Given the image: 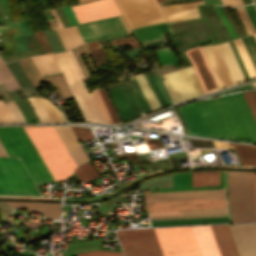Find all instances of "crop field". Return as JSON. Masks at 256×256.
I'll return each mask as SVG.
<instances>
[{"instance_id":"crop-field-36","label":"crop field","mask_w":256,"mask_h":256,"mask_svg":"<svg viewBox=\"0 0 256 256\" xmlns=\"http://www.w3.org/2000/svg\"><path fill=\"white\" fill-rule=\"evenodd\" d=\"M233 41H234V43H235V45L237 47V50H238V52H239V54H240V56L242 58V61H243L244 65H245V67H246V70H247L250 78L251 79L256 78V72H255V70L253 68V65H252V63H251V61L249 59V56H248V54H247V52H246V50L244 48V45H243L241 39L238 38V39H234Z\"/></svg>"},{"instance_id":"crop-field-44","label":"crop field","mask_w":256,"mask_h":256,"mask_svg":"<svg viewBox=\"0 0 256 256\" xmlns=\"http://www.w3.org/2000/svg\"><path fill=\"white\" fill-rule=\"evenodd\" d=\"M228 216L227 213L150 217L151 220Z\"/></svg>"},{"instance_id":"crop-field-21","label":"crop field","mask_w":256,"mask_h":256,"mask_svg":"<svg viewBox=\"0 0 256 256\" xmlns=\"http://www.w3.org/2000/svg\"><path fill=\"white\" fill-rule=\"evenodd\" d=\"M202 256H220L210 226L192 227Z\"/></svg>"},{"instance_id":"crop-field-19","label":"crop field","mask_w":256,"mask_h":256,"mask_svg":"<svg viewBox=\"0 0 256 256\" xmlns=\"http://www.w3.org/2000/svg\"><path fill=\"white\" fill-rule=\"evenodd\" d=\"M203 3L202 0L179 3L161 7L169 22L200 17L196 4Z\"/></svg>"},{"instance_id":"crop-field-9","label":"crop field","mask_w":256,"mask_h":256,"mask_svg":"<svg viewBox=\"0 0 256 256\" xmlns=\"http://www.w3.org/2000/svg\"><path fill=\"white\" fill-rule=\"evenodd\" d=\"M162 78L175 103L204 93L191 65L163 74Z\"/></svg>"},{"instance_id":"crop-field-4","label":"crop field","mask_w":256,"mask_h":256,"mask_svg":"<svg viewBox=\"0 0 256 256\" xmlns=\"http://www.w3.org/2000/svg\"><path fill=\"white\" fill-rule=\"evenodd\" d=\"M66 81L78 103V107L85 121L106 122L102 112L92 94H89L82 78L86 81L71 50L64 53L53 54Z\"/></svg>"},{"instance_id":"crop-field-18","label":"crop field","mask_w":256,"mask_h":256,"mask_svg":"<svg viewBox=\"0 0 256 256\" xmlns=\"http://www.w3.org/2000/svg\"><path fill=\"white\" fill-rule=\"evenodd\" d=\"M28 100L40 122H67L63 113L48 99L42 97H30Z\"/></svg>"},{"instance_id":"crop-field-70","label":"crop field","mask_w":256,"mask_h":256,"mask_svg":"<svg viewBox=\"0 0 256 256\" xmlns=\"http://www.w3.org/2000/svg\"><path fill=\"white\" fill-rule=\"evenodd\" d=\"M160 1H164V0H158V2H160Z\"/></svg>"},{"instance_id":"crop-field-32","label":"crop field","mask_w":256,"mask_h":256,"mask_svg":"<svg viewBox=\"0 0 256 256\" xmlns=\"http://www.w3.org/2000/svg\"><path fill=\"white\" fill-rule=\"evenodd\" d=\"M233 144L243 165H256V147Z\"/></svg>"},{"instance_id":"crop-field-27","label":"crop field","mask_w":256,"mask_h":256,"mask_svg":"<svg viewBox=\"0 0 256 256\" xmlns=\"http://www.w3.org/2000/svg\"><path fill=\"white\" fill-rule=\"evenodd\" d=\"M108 90L113 99V102L122 118L123 121L133 118V114L126 101V98L118 83L108 85Z\"/></svg>"},{"instance_id":"crop-field-23","label":"crop field","mask_w":256,"mask_h":256,"mask_svg":"<svg viewBox=\"0 0 256 256\" xmlns=\"http://www.w3.org/2000/svg\"><path fill=\"white\" fill-rule=\"evenodd\" d=\"M11 207L22 208L41 212L45 217L59 218L60 205L59 203H44V202H10Z\"/></svg>"},{"instance_id":"crop-field-54","label":"crop field","mask_w":256,"mask_h":256,"mask_svg":"<svg viewBox=\"0 0 256 256\" xmlns=\"http://www.w3.org/2000/svg\"><path fill=\"white\" fill-rule=\"evenodd\" d=\"M182 214L227 212L226 208L181 211Z\"/></svg>"},{"instance_id":"crop-field-62","label":"crop field","mask_w":256,"mask_h":256,"mask_svg":"<svg viewBox=\"0 0 256 256\" xmlns=\"http://www.w3.org/2000/svg\"><path fill=\"white\" fill-rule=\"evenodd\" d=\"M224 5H229V6H237V5H242L243 1L242 0H222Z\"/></svg>"},{"instance_id":"crop-field-71","label":"crop field","mask_w":256,"mask_h":256,"mask_svg":"<svg viewBox=\"0 0 256 256\" xmlns=\"http://www.w3.org/2000/svg\"><path fill=\"white\" fill-rule=\"evenodd\" d=\"M255 225V227H256V224H254Z\"/></svg>"},{"instance_id":"crop-field-16","label":"crop field","mask_w":256,"mask_h":256,"mask_svg":"<svg viewBox=\"0 0 256 256\" xmlns=\"http://www.w3.org/2000/svg\"><path fill=\"white\" fill-rule=\"evenodd\" d=\"M77 166L89 161L88 156L84 152L83 148L78 141L93 138L92 133L78 136L77 139L71 131L70 127H55Z\"/></svg>"},{"instance_id":"crop-field-5","label":"crop field","mask_w":256,"mask_h":256,"mask_svg":"<svg viewBox=\"0 0 256 256\" xmlns=\"http://www.w3.org/2000/svg\"><path fill=\"white\" fill-rule=\"evenodd\" d=\"M154 230L164 256H201L191 227Z\"/></svg>"},{"instance_id":"crop-field-26","label":"crop field","mask_w":256,"mask_h":256,"mask_svg":"<svg viewBox=\"0 0 256 256\" xmlns=\"http://www.w3.org/2000/svg\"><path fill=\"white\" fill-rule=\"evenodd\" d=\"M192 173L173 175V189H158L159 192L224 188V172H221V186L191 187Z\"/></svg>"},{"instance_id":"crop-field-30","label":"crop field","mask_w":256,"mask_h":256,"mask_svg":"<svg viewBox=\"0 0 256 256\" xmlns=\"http://www.w3.org/2000/svg\"><path fill=\"white\" fill-rule=\"evenodd\" d=\"M40 75L59 72L60 69L52 54L32 57Z\"/></svg>"},{"instance_id":"crop-field-14","label":"crop field","mask_w":256,"mask_h":256,"mask_svg":"<svg viewBox=\"0 0 256 256\" xmlns=\"http://www.w3.org/2000/svg\"><path fill=\"white\" fill-rule=\"evenodd\" d=\"M228 226L239 256H256V230L254 225Z\"/></svg>"},{"instance_id":"crop-field-42","label":"crop field","mask_w":256,"mask_h":256,"mask_svg":"<svg viewBox=\"0 0 256 256\" xmlns=\"http://www.w3.org/2000/svg\"><path fill=\"white\" fill-rule=\"evenodd\" d=\"M145 76H146L149 84L151 85V87H152V89H153V91H154V93H155V95H156V97H157L161 107L167 106L168 104H167V102H166V100H165V98H164V96L162 94V91H161V89H160V87H159V85H158V83H157L153 73L145 74Z\"/></svg>"},{"instance_id":"crop-field-11","label":"crop field","mask_w":256,"mask_h":256,"mask_svg":"<svg viewBox=\"0 0 256 256\" xmlns=\"http://www.w3.org/2000/svg\"><path fill=\"white\" fill-rule=\"evenodd\" d=\"M226 207L224 198L145 203L146 212Z\"/></svg>"},{"instance_id":"crop-field-64","label":"crop field","mask_w":256,"mask_h":256,"mask_svg":"<svg viewBox=\"0 0 256 256\" xmlns=\"http://www.w3.org/2000/svg\"><path fill=\"white\" fill-rule=\"evenodd\" d=\"M181 214L180 211L150 213V216Z\"/></svg>"},{"instance_id":"crop-field-28","label":"crop field","mask_w":256,"mask_h":256,"mask_svg":"<svg viewBox=\"0 0 256 256\" xmlns=\"http://www.w3.org/2000/svg\"><path fill=\"white\" fill-rule=\"evenodd\" d=\"M228 217L151 221L152 226H169L197 223L228 222Z\"/></svg>"},{"instance_id":"crop-field-43","label":"crop field","mask_w":256,"mask_h":256,"mask_svg":"<svg viewBox=\"0 0 256 256\" xmlns=\"http://www.w3.org/2000/svg\"><path fill=\"white\" fill-rule=\"evenodd\" d=\"M256 70V42L252 35L241 38Z\"/></svg>"},{"instance_id":"crop-field-39","label":"crop field","mask_w":256,"mask_h":256,"mask_svg":"<svg viewBox=\"0 0 256 256\" xmlns=\"http://www.w3.org/2000/svg\"><path fill=\"white\" fill-rule=\"evenodd\" d=\"M159 57L161 65H167L173 63L174 65H178V61L175 58V55L169 49V47L160 48L154 51Z\"/></svg>"},{"instance_id":"crop-field-35","label":"crop field","mask_w":256,"mask_h":256,"mask_svg":"<svg viewBox=\"0 0 256 256\" xmlns=\"http://www.w3.org/2000/svg\"><path fill=\"white\" fill-rule=\"evenodd\" d=\"M172 39L174 40L175 44L177 45L178 49L180 50L185 64H189L190 62L187 59V57L185 56L183 50L190 48L193 45H196V42L194 41V39L191 37L189 32H187L179 37H174Z\"/></svg>"},{"instance_id":"crop-field-49","label":"crop field","mask_w":256,"mask_h":256,"mask_svg":"<svg viewBox=\"0 0 256 256\" xmlns=\"http://www.w3.org/2000/svg\"><path fill=\"white\" fill-rule=\"evenodd\" d=\"M77 256H122V254L118 252L96 250L85 253H79L77 254Z\"/></svg>"},{"instance_id":"crop-field-3","label":"crop field","mask_w":256,"mask_h":256,"mask_svg":"<svg viewBox=\"0 0 256 256\" xmlns=\"http://www.w3.org/2000/svg\"><path fill=\"white\" fill-rule=\"evenodd\" d=\"M0 141L9 156L21 158L36 185L53 181L23 127H0Z\"/></svg>"},{"instance_id":"crop-field-38","label":"crop field","mask_w":256,"mask_h":256,"mask_svg":"<svg viewBox=\"0 0 256 256\" xmlns=\"http://www.w3.org/2000/svg\"><path fill=\"white\" fill-rule=\"evenodd\" d=\"M87 46L92 54V57H93V60L96 64V66L98 67V66L104 64L106 57H105V53L100 45V42L96 41V42L88 43Z\"/></svg>"},{"instance_id":"crop-field-37","label":"crop field","mask_w":256,"mask_h":256,"mask_svg":"<svg viewBox=\"0 0 256 256\" xmlns=\"http://www.w3.org/2000/svg\"><path fill=\"white\" fill-rule=\"evenodd\" d=\"M1 83H4L8 90L20 87L5 64L0 60V84Z\"/></svg>"},{"instance_id":"crop-field-57","label":"crop field","mask_w":256,"mask_h":256,"mask_svg":"<svg viewBox=\"0 0 256 256\" xmlns=\"http://www.w3.org/2000/svg\"><path fill=\"white\" fill-rule=\"evenodd\" d=\"M80 182L91 179V176L88 174L86 169L82 166L76 168L75 170Z\"/></svg>"},{"instance_id":"crop-field-53","label":"crop field","mask_w":256,"mask_h":256,"mask_svg":"<svg viewBox=\"0 0 256 256\" xmlns=\"http://www.w3.org/2000/svg\"><path fill=\"white\" fill-rule=\"evenodd\" d=\"M207 185H220V172H207Z\"/></svg>"},{"instance_id":"crop-field-59","label":"crop field","mask_w":256,"mask_h":256,"mask_svg":"<svg viewBox=\"0 0 256 256\" xmlns=\"http://www.w3.org/2000/svg\"><path fill=\"white\" fill-rule=\"evenodd\" d=\"M255 29H256V12H255V8L254 5H248V6H244Z\"/></svg>"},{"instance_id":"crop-field-24","label":"crop field","mask_w":256,"mask_h":256,"mask_svg":"<svg viewBox=\"0 0 256 256\" xmlns=\"http://www.w3.org/2000/svg\"><path fill=\"white\" fill-rule=\"evenodd\" d=\"M169 31L171 29L167 22L132 29L133 34L140 43L162 38L161 34Z\"/></svg>"},{"instance_id":"crop-field-29","label":"crop field","mask_w":256,"mask_h":256,"mask_svg":"<svg viewBox=\"0 0 256 256\" xmlns=\"http://www.w3.org/2000/svg\"><path fill=\"white\" fill-rule=\"evenodd\" d=\"M57 32H58L66 50H68L78 44L83 43V40H82L76 26L57 29Z\"/></svg>"},{"instance_id":"crop-field-63","label":"crop field","mask_w":256,"mask_h":256,"mask_svg":"<svg viewBox=\"0 0 256 256\" xmlns=\"http://www.w3.org/2000/svg\"><path fill=\"white\" fill-rule=\"evenodd\" d=\"M18 223H22V224L26 225L29 229H31L33 227H36V226H39V225L43 224L44 221H42V222L27 221V222H18Z\"/></svg>"},{"instance_id":"crop-field-66","label":"crop field","mask_w":256,"mask_h":256,"mask_svg":"<svg viewBox=\"0 0 256 256\" xmlns=\"http://www.w3.org/2000/svg\"><path fill=\"white\" fill-rule=\"evenodd\" d=\"M119 17H120V19H121L123 25L125 26V28H126L128 34H131L130 31H129V29H128V27H127V25H126V23H125V21H124V19H123V17H121V16H119Z\"/></svg>"},{"instance_id":"crop-field-67","label":"crop field","mask_w":256,"mask_h":256,"mask_svg":"<svg viewBox=\"0 0 256 256\" xmlns=\"http://www.w3.org/2000/svg\"><path fill=\"white\" fill-rule=\"evenodd\" d=\"M84 1H88V0H80V2H84Z\"/></svg>"},{"instance_id":"crop-field-7","label":"crop field","mask_w":256,"mask_h":256,"mask_svg":"<svg viewBox=\"0 0 256 256\" xmlns=\"http://www.w3.org/2000/svg\"><path fill=\"white\" fill-rule=\"evenodd\" d=\"M130 29L166 21L156 0H116Z\"/></svg>"},{"instance_id":"crop-field-60","label":"crop field","mask_w":256,"mask_h":256,"mask_svg":"<svg viewBox=\"0 0 256 256\" xmlns=\"http://www.w3.org/2000/svg\"><path fill=\"white\" fill-rule=\"evenodd\" d=\"M71 129L74 132L75 136L91 132L88 128L82 127H71Z\"/></svg>"},{"instance_id":"crop-field-34","label":"crop field","mask_w":256,"mask_h":256,"mask_svg":"<svg viewBox=\"0 0 256 256\" xmlns=\"http://www.w3.org/2000/svg\"><path fill=\"white\" fill-rule=\"evenodd\" d=\"M20 65V64H19ZM17 61L14 62H10V63H6V66L9 68V70L11 71V73L14 75V77L16 78V80L18 81V83L21 85L22 88H29L31 89L35 94H37V92L35 91V89L33 88V86L30 84V82L28 81V79L25 77V73L23 74L22 70H21V66L19 67ZM38 95V94H37Z\"/></svg>"},{"instance_id":"crop-field-15","label":"crop field","mask_w":256,"mask_h":256,"mask_svg":"<svg viewBox=\"0 0 256 256\" xmlns=\"http://www.w3.org/2000/svg\"><path fill=\"white\" fill-rule=\"evenodd\" d=\"M224 197V189L144 194L145 202Z\"/></svg>"},{"instance_id":"crop-field-52","label":"crop field","mask_w":256,"mask_h":256,"mask_svg":"<svg viewBox=\"0 0 256 256\" xmlns=\"http://www.w3.org/2000/svg\"><path fill=\"white\" fill-rule=\"evenodd\" d=\"M93 93H94V95H95V97H96V99H97V101H98V103L100 105V108H101V110H102V112L104 114V117H105L106 121L110 122V123H113L111 118H110V116H109V114H108V111H107V109H106V107H105V105H104V103L102 101V98H101L98 90L97 89L93 90Z\"/></svg>"},{"instance_id":"crop-field-69","label":"crop field","mask_w":256,"mask_h":256,"mask_svg":"<svg viewBox=\"0 0 256 256\" xmlns=\"http://www.w3.org/2000/svg\"><path fill=\"white\" fill-rule=\"evenodd\" d=\"M253 84H254V86L256 87V82H254Z\"/></svg>"},{"instance_id":"crop-field-56","label":"crop field","mask_w":256,"mask_h":256,"mask_svg":"<svg viewBox=\"0 0 256 256\" xmlns=\"http://www.w3.org/2000/svg\"><path fill=\"white\" fill-rule=\"evenodd\" d=\"M0 122H13L6 110L3 101H0Z\"/></svg>"},{"instance_id":"crop-field-17","label":"crop field","mask_w":256,"mask_h":256,"mask_svg":"<svg viewBox=\"0 0 256 256\" xmlns=\"http://www.w3.org/2000/svg\"><path fill=\"white\" fill-rule=\"evenodd\" d=\"M219 87L233 85V81L215 45L201 47Z\"/></svg>"},{"instance_id":"crop-field-6","label":"crop field","mask_w":256,"mask_h":256,"mask_svg":"<svg viewBox=\"0 0 256 256\" xmlns=\"http://www.w3.org/2000/svg\"><path fill=\"white\" fill-rule=\"evenodd\" d=\"M0 194L39 195L18 158L0 157Z\"/></svg>"},{"instance_id":"crop-field-10","label":"crop field","mask_w":256,"mask_h":256,"mask_svg":"<svg viewBox=\"0 0 256 256\" xmlns=\"http://www.w3.org/2000/svg\"><path fill=\"white\" fill-rule=\"evenodd\" d=\"M84 42L127 35L119 17L77 25Z\"/></svg>"},{"instance_id":"crop-field-41","label":"crop field","mask_w":256,"mask_h":256,"mask_svg":"<svg viewBox=\"0 0 256 256\" xmlns=\"http://www.w3.org/2000/svg\"><path fill=\"white\" fill-rule=\"evenodd\" d=\"M130 79H131L133 91L135 93V96H136V99L138 101L140 108L146 112H151V109H150L144 95L142 94L134 76H131Z\"/></svg>"},{"instance_id":"crop-field-65","label":"crop field","mask_w":256,"mask_h":256,"mask_svg":"<svg viewBox=\"0 0 256 256\" xmlns=\"http://www.w3.org/2000/svg\"><path fill=\"white\" fill-rule=\"evenodd\" d=\"M253 178H254L255 203H256V172H253Z\"/></svg>"},{"instance_id":"crop-field-12","label":"crop field","mask_w":256,"mask_h":256,"mask_svg":"<svg viewBox=\"0 0 256 256\" xmlns=\"http://www.w3.org/2000/svg\"><path fill=\"white\" fill-rule=\"evenodd\" d=\"M72 8L80 23L121 14L113 0H100Z\"/></svg>"},{"instance_id":"crop-field-47","label":"crop field","mask_w":256,"mask_h":256,"mask_svg":"<svg viewBox=\"0 0 256 256\" xmlns=\"http://www.w3.org/2000/svg\"><path fill=\"white\" fill-rule=\"evenodd\" d=\"M236 11L245 25L247 34L250 35V34L256 33L244 8L243 7L236 8Z\"/></svg>"},{"instance_id":"crop-field-13","label":"crop field","mask_w":256,"mask_h":256,"mask_svg":"<svg viewBox=\"0 0 256 256\" xmlns=\"http://www.w3.org/2000/svg\"><path fill=\"white\" fill-rule=\"evenodd\" d=\"M190 59L192 66L197 74L204 92H209L218 89V85L209 68L205 56L200 47L191 48L185 51Z\"/></svg>"},{"instance_id":"crop-field-55","label":"crop field","mask_w":256,"mask_h":256,"mask_svg":"<svg viewBox=\"0 0 256 256\" xmlns=\"http://www.w3.org/2000/svg\"><path fill=\"white\" fill-rule=\"evenodd\" d=\"M216 10L219 14V16L221 17V19L223 20V22L225 23V25L227 26L228 30L230 31V33L232 34L233 38H236L237 35L233 29V27L231 26V24L229 23V21L227 20V18L224 16V14L221 11V7L220 6H215Z\"/></svg>"},{"instance_id":"crop-field-20","label":"crop field","mask_w":256,"mask_h":256,"mask_svg":"<svg viewBox=\"0 0 256 256\" xmlns=\"http://www.w3.org/2000/svg\"><path fill=\"white\" fill-rule=\"evenodd\" d=\"M221 256H238L227 225H210Z\"/></svg>"},{"instance_id":"crop-field-2","label":"crop field","mask_w":256,"mask_h":256,"mask_svg":"<svg viewBox=\"0 0 256 256\" xmlns=\"http://www.w3.org/2000/svg\"><path fill=\"white\" fill-rule=\"evenodd\" d=\"M53 179L70 177L76 166L54 127H24Z\"/></svg>"},{"instance_id":"crop-field-1","label":"crop field","mask_w":256,"mask_h":256,"mask_svg":"<svg viewBox=\"0 0 256 256\" xmlns=\"http://www.w3.org/2000/svg\"><path fill=\"white\" fill-rule=\"evenodd\" d=\"M194 104L210 137L256 143V121L242 93Z\"/></svg>"},{"instance_id":"crop-field-46","label":"crop field","mask_w":256,"mask_h":256,"mask_svg":"<svg viewBox=\"0 0 256 256\" xmlns=\"http://www.w3.org/2000/svg\"><path fill=\"white\" fill-rule=\"evenodd\" d=\"M6 107L15 122H26L18 106L14 101L5 103Z\"/></svg>"},{"instance_id":"crop-field-51","label":"crop field","mask_w":256,"mask_h":256,"mask_svg":"<svg viewBox=\"0 0 256 256\" xmlns=\"http://www.w3.org/2000/svg\"><path fill=\"white\" fill-rule=\"evenodd\" d=\"M256 119V91L243 93Z\"/></svg>"},{"instance_id":"crop-field-25","label":"crop field","mask_w":256,"mask_h":256,"mask_svg":"<svg viewBox=\"0 0 256 256\" xmlns=\"http://www.w3.org/2000/svg\"><path fill=\"white\" fill-rule=\"evenodd\" d=\"M216 46L226 64V67H227L234 83L236 84L241 81H244L245 79L239 69V66L233 56V53H232L228 43L225 42V43L217 44Z\"/></svg>"},{"instance_id":"crop-field-33","label":"crop field","mask_w":256,"mask_h":256,"mask_svg":"<svg viewBox=\"0 0 256 256\" xmlns=\"http://www.w3.org/2000/svg\"><path fill=\"white\" fill-rule=\"evenodd\" d=\"M141 189L149 188H172V174L160 176L141 184H138Z\"/></svg>"},{"instance_id":"crop-field-45","label":"crop field","mask_w":256,"mask_h":256,"mask_svg":"<svg viewBox=\"0 0 256 256\" xmlns=\"http://www.w3.org/2000/svg\"><path fill=\"white\" fill-rule=\"evenodd\" d=\"M98 90H99V92H100V94H101V96L103 98V101H104V103H105V105H106V107H107V109L109 111V114H110L113 122L114 123H119L120 120H119V118H118V116H117V114H116V112H115V110H114L110 100H109L107 92L105 91V89H101V88H98Z\"/></svg>"},{"instance_id":"crop-field-48","label":"crop field","mask_w":256,"mask_h":256,"mask_svg":"<svg viewBox=\"0 0 256 256\" xmlns=\"http://www.w3.org/2000/svg\"><path fill=\"white\" fill-rule=\"evenodd\" d=\"M143 138H144L146 144L137 146L140 151L162 147L161 146L162 143H161L160 139L147 138V137H143Z\"/></svg>"},{"instance_id":"crop-field-58","label":"crop field","mask_w":256,"mask_h":256,"mask_svg":"<svg viewBox=\"0 0 256 256\" xmlns=\"http://www.w3.org/2000/svg\"><path fill=\"white\" fill-rule=\"evenodd\" d=\"M63 10H64L66 16L68 17L71 25L78 24V21H77V19H76V17H75V15H74L70 6L64 7Z\"/></svg>"},{"instance_id":"crop-field-31","label":"crop field","mask_w":256,"mask_h":256,"mask_svg":"<svg viewBox=\"0 0 256 256\" xmlns=\"http://www.w3.org/2000/svg\"><path fill=\"white\" fill-rule=\"evenodd\" d=\"M135 78H136L142 92L144 93L152 111L160 108V105H159L150 85L148 84L145 77L143 76V74L140 73L138 75H135Z\"/></svg>"},{"instance_id":"crop-field-61","label":"crop field","mask_w":256,"mask_h":256,"mask_svg":"<svg viewBox=\"0 0 256 256\" xmlns=\"http://www.w3.org/2000/svg\"><path fill=\"white\" fill-rule=\"evenodd\" d=\"M84 167L87 169L92 178L99 177V175L97 174L93 166L90 164V162L84 164Z\"/></svg>"},{"instance_id":"crop-field-68","label":"crop field","mask_w":256,"mask_h":256,"mask_svg":"<svg viewBox=\"0 0 256 256\" xmlns=\"http://www.w3.org/2000/svg\"><path fill=\"white\" fill-rule=\"evenodd\" d=\"M254 36V38H255V40H256V34L255 35H253Z\"/></svg>"},{"instance_id":"crop-field-50","label":"crop field","mask_w":256,"mask_h":256,"mask_svg":"<svg viewBox=\"0 0 256 256\" xmlns=\"http://www.w3.org/2000/svg\"><path fill=\"white\" fill-rule=\"evenodd\" d=\"M192 186H206V172H194Z\"/></svg>"},{"instance_id":"crop-field-22","label":"crop field","mask_w":256,"mask_h":256,"mask_svg":"<svg viewBox=\"0 0 256 256\" xmlns=\"http://www.w3.org/2000/svg\"><path fill=\"white\" fill-rule=\"evenodd\" d=\"M178 109L192 135L209 137L193 103Z\"/></svg>"},{"instance_id":"crop-field-40","label":"crop field","mask_w":256,"mask_h":256,"mask_svg":"<svg viewBox=\"0 0 256 256\" xmlns=\"http://www.w3.org/2000/svg\"><path fill=\"white\" fill-rule=\"evenodd\" d=\"M118 80H119L120 86H121L128 102L130 104V107L132 109V112H133L134 116H137V115L141 114L139 112L138 106H137V104H136V102H135V100L132 96V93H131L126 81L124 80L123 76L118 78Z\"/></svg>"},{"instance_id":"crop-field-8","label":"crop field","mask_w":256,"mask_h":256,"mask_svg":"<svg viewBox=\"0 0 256 256\" xmlns=\"http://www.w3.org/2000/svg\"><path fill=\"white\" fill-rule=\"evenodd\" d=\"M125 256H163L153 229L117 232Z\"/></svg>"}]
</instances>
